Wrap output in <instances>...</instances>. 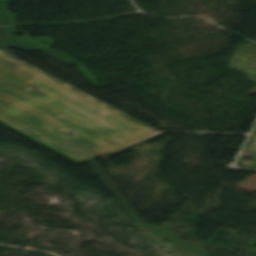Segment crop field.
<instances>
[{"mask_svg":"<svg viewBox=\"0 0 256 256\" xmlns=\"http://www.w3.org/2000/svg\"><path fill=\"white\" fill-rule=\"evenodd\" d=\"M0 123L77 163L117 152L155 131L1 51Z\"/></svg>","mask_w":256,"mask_h":256,"instance_id":"crop-field-1","label":"crop field"},{"mask_svg":"<svg viewBox=\"0 0 256 256\" xmlns=\"http://www.w3.org/2000/svg\"><path fill=\"white\" fill-rule=\"evenodd\" d=\"M246 150H252L254 153L252 159H256V130H255Z\"/></svg>","mask_w":256,"mask_h":256,"instance_id":"crop-field-2","label":"crop field"}]
</instances>
